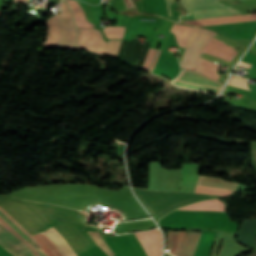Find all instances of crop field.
Segmentation results:
<instances>
[{"label": "crop field", "instance_id": "bc2a9ffb", "mask_svg": "<svg viewBox=\"0 0 256 256\" xmlns=\"http://www.w3.org/2000/svg\"><path fill=\"white\" fill-rule=\"evenodd\" d=\"M229 85L238 87V88H242V89H246V90H250L247 86V80L246 79H242V78H237V77H233L231 76L229 82Z\"/></svg>", "mask_w": 256, "mask_h": 256}, {"label": "crop field", "instance_id": "e52e79f7", "mask_svg": "<svg viewBox=\"0 0 256 256\" xmlns=\"http://www.w3.org/2000/svg\"><path fill=\"white\" fill-rule=\"evenodd\" d=\"M201 233L168 232L166 251L176 256H192Z\"/></svg>", "mask_w": 256, "mask_h": 256}, {"label": "crop field", "instance_id": "4177f3b9", "mask_svg": "<svg viewBox=\"0 0 256 256\" xmlns=\"http://www.w3.org/2000/svg\"><path fill=\"white\" fill-rule=\"evenodd\" d=\"M12 1H14V2H26L27 0H12Z\"/></svg>", "mask_w": 256, "mask_h": 256}, {"label": "crop field", "instance_id": "34b2d1b8", "mask_svg": "<svg viewBox=\"0 0 256 256\" xmlns=\"http://www.w3.org/2000/svg\"><path fill=\"white\" fill-rule=\"evenodd\" d=\"M122 41L102 40L101 32L78 28L77 48L89 49L96 52L117 56Z\"/></svg>", "mask_w": 256, "mask_h": 256}, {"label": "crop field", "instance_id": "22f410ed", "mask_svg": "<svg viewBox=\"0 0 256 256\" xmlns=\"http://www.w3.org/2000/svg\"><path fill=\"white\" fill-rule=\"evenodd\" d=\"M225 204L217 199L185 206L179 209L225 211Z\"/></svg>", "mask_w": 256, "mask_h": 256}, {"label": "crop field", "instance_id": "d1516ede", "mask_svg": "<svg viewBox=\"0 0 256 256\" xmlns=\"http://www.w3.org/2000/svg\"><path fill=\"white\" fill-rule=\"evenodd\" d=\"M154 71L175 78L179 72V64L159 58Z\"/></svg>", "mask_w": 256, "mask_h": 256}, {"label": "crop field", "instance_id": "cbeb9de0", "mask_svg": "<svg viewBox=\"0 0 256 256\" xmlns=\"http://www.w3.org/2000/svg\"><path fill=\"white\" fill-rule=\"evenodd\" d=\"M77 20L78 27L82 28H93V24L88 22L85 18L84 11L79 6L78 2L73 0H66Z\"/></svg>", "mask_w": 256, "mask_h": 256}, {"label": "crop field", "instance_id": "00972430", "mask_svg": "<svg viewBox=\"0 0 256 256\" xmlns=\"http://www.w3.org/2000/svg\"><path fill=\"white\" fill-rule=\"evenodd\" d=\"M126 1V6L127 8H131L134 7L133 3L131 2V0H125Z\"/></svg>", "mask_w": 256, "mask_h": 256}, {"label": "crop field", "instance_id": "d8731c3e", "mask_svg": "<svg viewBox=\"0 0 256 256\" xmlns=\"http://www.w3.org/2000/svg\"><path fill=\"white\" fill-rule=\"evenodd\" d=\"M0 244L14 256H34L31 249L0 225Z\"/></svg>", "mask_w": 256, "mask_h": 256}, {"label": "crop field", "instance_id": "f4fd0767", "mask_svg": "<svg viewBox=\"0 0 256 256\" xmlns=\"http://www.w3.org/2000/svg\"><path fill=\"white\" fill-rule=\"evenodd\" d=\"M187 7L192 19L237 15L239 11L231 9L217 0H181Z\"/></svg>", "mask_w": 256, "mask_h": 256}, {"label": "crop field", "instance_id": "5142ce71", "mask_svg": "<svg viewBox=\"0 0 256 256\" xmlns=\"http://www.w3.org/2000/svg\"><path fill=\"white\" fill-rule=\"evenodd\" d=\"M198 184L214 186V187H219V188H224L229 190H234L237 186L236 183L225 182L221 179L209 178V177H203V176L199 177Z\"/></svg>", "mask_w": 256, "mask_h": 256}, {"label": "crop field", "instance_id": "3316defc", "mask_svg": "<svg viewBox=\"0 0 256 256\" xmlns=\"http://www.w3.org/2000/svg\"><path fill=\"white\" fill-rule=\"evenodd\" d=\"M204 53H208L225 60L230 61L233 56L237 53L234 48L225 45V43L212 38L206 45Z\"/></svg>", "mask_w": 256, "mask_h": 256}, {"label": "crop field", "instance_id": "eef30255", "mask_svg": "<svg viewBox=\"0 0 256 256\" xmlns=\"http://www.w3.org/2000/svg\"><path fill=\"white\" fill-rule=\"evenodd\" d=\"M1 13V12H0Z\"/></svg>", "mask_w": 256, "mask_h": 256}, {"label": "crop field", "instance_id": "28ad6ade", "mask_svg": "<svg viewBox=\"0 0 256 256\" xmlns=\"http://www.w3.org/2000/svg\"><path fill=\"white\" fill-rule=\"evenodd\" d=\"M44 232L54 241L64 256H77L63 236L53 227Z\"/></svg>", "mask_w": 256, "mask_h": 256}, {"label": "crop field", "instance_id": "4a817a6b", "mask_svg": "<svg viewBox=\"0 0 256 256\" xmlns=\"http://www.w3.org/2000/svg\"><path fill=\"white\" fill-rule=\"evenodd\" d=\"M89 235L92 237V239L95 241V243L108 255L113 256L115 255L111 249L105 244L103 239L101 238L99 232H88Z\"/></svg>", "mask_w": 256, "mask_h": 256}, {"label": "crop field", "instance_id": "412701ff", "mask_svg": "<svg viewBox=\"0 0 256 256\" xmlns=\"http://www.w3.org/2000/svg\"><path fill=\"white\" fill-rule=\"evenodd\" d=\"M214 35L216 34L209 30L196 28L183 54L181 66L186 69L201 72L199 68L201 53L205 45Z\"/></svg>", "mask_w": 256, "mask_h": 256}, {"label": "crop field", "instance_id": "214f88e0", "mask_svg": "<svg viewBox=\"0 0 256 256\" xmlns=\"http://www.w3.org/2000/svg\"><path fill=\"white\" fill-rule=\"evenodd\" d=\"M156 51L157 50H155V49H151V48L149 49L147 58L145 57L146 60H145V63L143 65V67H142L143 70H147V71L149 70V68H150V66H151V64H152V62L154 60Z\"/></svg>", "mask_w": 256, "mask_h": 256}, {"label": "crop field", "instance_id": "a9b5d70f", "mask_svg": "<svg viewBox=\"0 0 256 256\" xmlns=\"http://www.w3.org/2000/svg\"><path fill=\"white\" fill-rule=\"evenodd\" d=\"M239 65L245 66V67H248V68L250 67V64H247V63L242 62V61L239 62Z\"/></svg>", "mask_w": 256, "mask_h": 256}, {"label": "crop field", "instance_id": "dd49c442", "mask_svg": "<svg viewBox=\"0 0 256 256\" xmlns=\"http://www.w3.org/2000/svg\"><path fill=\"white\" fill-rule=\"evenodd\" d=\"M173 84L191 90L212 92L217 94H219L223 88L222 83L200 73L186 69H183L179 77L173 81Z\"/></svg>", "mask_w": 256, "mask_h": 256}, {"label": "crop field", "instance_id": "733c2abd", "mask_svg": "<svg viewBox=\"0 0 256 256\" xmlns=\"http://www.w3.org/2000/svg\"><path fill=\"white\" fill-rule=\"evenodd\" d=\"M125 27L107 26L103 29L107 38L122 39Z\"/></svg>", "mask_w": 256, "mask_h": 256}, {"label": "crop field", "instance_id": "dafd665d", "mask_svg": "<svg viewBox=\"0 0 256 256\" xmlns=\"http://www.w3.org/2000/svg\"><path fill=\"white\" fill-rule=\"evenodd\" d=\"M174 2V0H166V3H167V7H168V11H169V15H170V17L172 16L171 15V11H170V7H169V5L171 4V3H173Z\"/></svg>", "mask_w": 256, "mask_h": 256}, {"label": "crop field", "instance_id": "730fd06b", "mask_svg": "<svg viewBox=\"0 0 256 256\" xmlns=\"http://www.w3.org/2000/svg\"><path fill=\"white\" fill-rule=\"evenodd\" d=\"M166 256H170V255L166 254Z\"/></svg>", "mask_w": 256, "mask_h": 256}, {"label": "crop field", "instance_id": "5a996713", "mask_svg": "<svg viewBox=\"0 0 256 256\" xmlns=\"http://www.w3.org/2000/svg\"><path fill=\"white\" fill-rule=\"evenodd\" d=\"M201 167L197 164L183 165L181 191L194 192Z\"/></svg>", "mask_w": 256, "mask_h": 256}, {"label": "crop field", "instance_id": "d9b57169", "mask_svg": "<svg viewBox=\"0 0 256 256\" xmlns=\"http://www.w3.org/2000/svg\"><path fill=\"white\" fill-rule=\"evenodd\" d=\"M217 67H218V64H215L213 62H210L201 58L200 68L203 71V73L216 80L219 77V75L216 74Z\"/></svg>", "mask_w": 256, "mask_h": 256}, {"label": "crop field", "instance_id": "ac0d7876", "mask_svg": "<svg viewBox=\"0 0 256 256\" xmlns=\"http://www.w3.org/2000/svg\"><path fill=\"white\" fill-rule=\"evenodd\" d=\"M61 13L47 20L48 33L45 46H66L74 48L76 27L73 15L66 2L60 6Z\"/></svg>", "mask_w": 256, "mask_h": 256}, {"label": "crop field", "instance_id": "8a807250", "mask_svg": "<svg viewBox=\"0 0 256 256\" xmlns=\"http://www.w3.org/2000/svg\"><path fill=\"white\" fill-rule=\"evenodd\" d=\"M0 224L29 246L35 256H63L53 241L44 232L31 236L1 208Z\"/></svg>", "mask_w": 256, "mask_h": 256}, {"label": "crop field", "instance_id": "92a150f3", "mask_svg": "<svg viewBox=\"0 0 256 256\" xmlns=\"http://www.w3.org/2000/svg\"><path fill=\"white\" fill-rule=\"evenodd\" d=\"M160 52H161V51H159V50L157 51V54H156L154 63H153L152 68H151V70H150L151 72L153 71V69H154V67H155V64H156V61H157V59H158V56H159Z\"/></svg>", "mask_w": 256, "mask_h": 256}]
</instances>
